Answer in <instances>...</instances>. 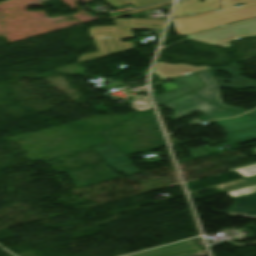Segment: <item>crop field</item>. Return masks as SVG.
I'll use <instances>...</instances> for the list:
<instances>
[{
  "label": "crop field",
  "instance_id": "5142ce71",
  "mask_svg": "<svg viewBox=\"0 0 256 256\" xmlns=\"http://www.w3.org/2000/svg\"><path fill=\"white\" fill-rule=\"evenodd\" d=\"M229 31H230V29H229L228 25H225V26H221V27H217V28L197 32V33H194V34H191V35H187V37L190 38V39H196V38H199V37H204V36H209V35H213V34L229 32Z\"/></svg>",
  "mask_w": 256,
  "mask_h": 256
},
{
  "label": "crop field",
  "instance_id": "28ad6ade",
  "mask_svg": "<svg viewBox=\"0 0 256 256\" xmlns=\"http://www.w3.org/2000/svg\"><path fill=\"white\" fill-rule=\"evenodd\" d=\"M226 132L256 126V118L243 115L235 119L214 121Z\"/></svg>",
  "mask_w": 256,
  "mask_h": 256
},
{
  "label": "crop field",
  "instance_id": "22f410ed",
  "mask_svg": "<svg viewBox=\"0 0 256 256\" xmlns=\"http://www.w3.org/2000/svg\"><path fill=\"white\" fill-rule=\"evenodd\" d=\"M227 134L229 137V143L256 139V127L233 131Z\"/></svg>",
  "mask_w": 256,
  "mask_h": 256
},
{
  "label": "crop field",
  "instance_id": "92a150f3",
  "mask_svg": "<svg viewBox=\"0 0 256 256\" xmlns=\"http://www.w3.org/2000/svg\"><path fill=\"white\" fill-rule=\"evenodd\" d=\"M189 152L191 153L193 158L208 154L203 148L195 149V150L190 149Z\"/></svg>",
  "mask_w": 256,
  "mask_h": 256
},
{
  "label": "crop field",
  "instance_id": "e52e79f7",
  "mask_svg": "<svg viewBox=\"0 0 256 256\" xmlns=\"http://www.w3.org/2000/svg\"><path fill=\"white\" fill-rule=\"evenodd\" d=\"M222 69L228 71L234 79L229 80V79H222L214 76L216 70ZM240 68L238 67L237 64L233 63L229 66L222 67V68H213V69H208V72L211 74L213 79L217 82L219 86L223 87H229V88H235V89H242V88H249V87H256V83L242 78L238 75ZM230 81V83L224 84L223 82Z\"/></svg>",
  "mask_w": 256,
  "mask_h": 256
},
{
  "label": "crop field",
  "instance_id": "f4fd0767",
  "mask_svg": "<svg viewBox=\"0 0 256 256\" xmlns=\"http://www.w3.org/2000/svg\"><path fill=\"white\" fill-rule=\"evenodd\" d=\"M208 68V66H199V67H194L186 64H168V63H162V62H157L154 67V73H156L162 81L194 73L197 71L205 70Z\"/></svg>",
  "mask_w": 256,
  "mask_h": 256
},
{
  "label": "crop field",
  "instance_id": "ac0d7876",
  "mask_svg": "<svg viewBox=\"0 0 256 256\" xmlns=\"http://www.w3.org/2000/svg\"><path fill=\"white\" fill-rule=\"evenodd\" d=\"M164 105L167 107L169 106L170 109L175 112V115L171 116L175 120L197 110L203 113L205 111V114L211 119L236 116L240 114L237 112L218 108L193 93L178 98Z\"/></svg>",
  "mask_w": 256,
  "mask_h": 256
},
{
  "label": "crop field",
  "instance_id": "34b2d1b8",
  "mask_svg": "<svg viewBox=\"0 0 256 256\" xmlns=\"http://www.w3.org/2000/svg\"><path fill=\"white\" fill-rule=\"evenodd\" d=\"M177 85L180 87L175 90L165 92L161 95L154 96V101L156 106L174 100L178 97L191 93L199 88L206 86V84L201 80V78L196 74H190L173 79ZM191 87V88H188Z\"/></svg>",
  "mask_w": 256,
  "mask_h": 256
},
{
  "label": "crop field",
  "instance_id": "733c2abd",
  "mask_svg": "<svg viewBox=\"0 0 256 256\" xmlns=\"http://www.w3.org/2000/svg\"><path fill=\"white\" fill-rule=\"evenodd\" d=\"M244 179H245L244 182L221 188V190L227 192V191H231V190H235V189H239V188H243V187H247V186L256 184V176H252V177H248V178H244Z\"/></svg>",
  "mask_w": 256,
  "mask_h": 256
},
{
  "label": "crop field",
  "instance_id": "cbeb9de0",
  "mask_svg": "<svg viewBox=\"0 0 256 256\" xmlns=\"http://www.w3.org/2000/svg\"><path fill=\"white\" fill-rule=\"evenodd\" d=\"M111 6L127 5L134 3L136 8L164 0H106Z\"/></svg>",
  "mask_w": 256,
  "mask_h": 256
},
{
  "label": "crop field",
  "instance_id": "00972430",
  "mask_svg": "<svg viewBox=\"0 0 256 256\" xmlns=\"http://www.w3.org/2000/svg\"><path fill=\"white\" fill-rule=\"evenodd\" d=\"M240 32H241L242 34H244L245 36L256 35V29L241 30Z\"/></svg>",
  "mask_w": 256,
  "mask_h": 256
},
{
  "label": "crop field",
  "instance_id": "d9b57169",
  "mask_svg": "<svg viewBox=\"0 0 256 256\" xmlns=\"http://www.w3.org/2000/svg\"><path fill=\"white\" fill-rule=\"evenodd\" d=\"M229 27L232 31L246 29V28H256V18L232 23V24H229Z\"/></svg>",
  "mask_w": 256,
  "mask_h": 256
},
{
  "label": "crop field",
  "instance_id": "4177f3b9",
  "mask_svg": "<svg viewBox=\"0 0 256 256\" xmlns=\"http://www.w3.org/2000/svg\"><path fill=\"white\" fill-rule=\"evenodd\" d=\"M196 40L201 41V42H204V41L202 40V38H200V39H196Z\"/></svg>",
  "mask_w": 256,
  "mask_h": 256
},
{
  "label": "crop field",
  "instance_id": "4a817a6b",
  "mask_svg": "<svg viewBox=\"0 0 256 256\" xmlns=\"http://www.w3.org/2000/svg\"><path fill=\"white\" fill-rule=\"evenodd\" d=\"M253 192H256V185L251 186V187H247V188H243V189H239V190H235V191H231V192H227V193L234 196V197H238V196L250 194V193H253Z\"/></svg>",
  "mask_w": 256,
  "mask_h": 256
},
{
  "label": "crop field",
  "instance_id": "d8731c3e",
  "mask_svg": "<svg viewBox=\"0 0 256 256\" xmlns=\"http://www.w3.org/2000/svg\"><path fill=\"white\" fill-rule=\"evenodd\" d=\"M197 74L202 78V80L208 85L202 89H199L195 91L199 95L203 96L204 98L210 100L211 102L215 103L216 105L224 108H230L233 110L245 112L247 110L232 107V106H226L221 103L220 97H219V86L216 84V82L212 79V77L209 75L207 70L197 72Z\"/></svg>",
  "mask_w": 256,
  "mask_h": 256
},
{
  "label": "crop field",
  "instance_id": "3316defc",
  "mask_svg": "<svg viewBox=\"0 0 256 256\" xmlns=\"http://www.w3.org/2000/svg\"><path fill=\"white\" fill-rule=\"evenodd\" d=\"M226 213L231 216L244 215L256 218V193L237 198L235 206Z\"/></svg>",
  "mask_w": 256,
  "mask_h": 256
},
{
  "label": "crop field",
  "instance_id": "bc2a9ffb",
  "mask_svg": "<svg viewBox=\"0 0 256 256\" xmlns=\"http://www.w3.org/2000/svg\"><path fill=\"white\" fill-rule=\"evenodd\" d=\"M236 171L244 177L256 175V164L248 167L236 169Z\"/></svg>",
  "mask_w": 256,
  "mask_h": 256
},
{
  "label": "crop field",
  "instance_id": "eef30255",
  "mask_svg": "<svg viewBox=\"0 0 256 256\" xmlns=\"http://www.w3.org/2000/svg\"><path fill=\"white\" fill-rule=\"evenodd\" d=\"M178 1H182V0H178ZM178 1H177V2H178Z\"/></svg>",
  "mask_w": 256,
  "mask_h": 256
},
{
  "label": "crop field",
  "instance_id": "8a807250",
  "mask_svg": "<svg viewBox=\"0 0 256 256\" xmlns=\"http://www.w3.org/2000/svg\"><path fill=\"white\" fill-rule=\"evenodd\" d=\"M256 16V3L230 6L218 11L206 12L173 18L178 35H187L197 31L229 24Z\"/></svg>",
  "mask_w": 256,
  "mask_h": 256
},
{
  "label": "crop field",
  "instance_id": "214f88e0",
  "mask_svg": "<svg viewBox=\"0 0 256 256\" xmlns=\"http://www.w3.org/2000/svg\"><path fill=\"white\" fill-rule=\"evenodd\" d=\"M250 2H256V0H223L221 7L230 6V5L239 4V3H250Z\"/></svg>",
  "mask_w": 256,
  "mask_h": 256
},
{
  "label": "crop field",
  "instance_id": "dafd665d",
  "mask_svg": "<svg viewBox=\"0 0 256 256\" xmlns=\"http://www.w3.org/2000/svg\"><path fill=\"white\" fill-rule=\"evenodd\" d=\"M173 2H174V1H172V2H167V3H163V4H159V5H155V6L148 7V8H144V9H140V10H137V11H134V12H138V11H142V10H146V9H150V8H154V7H158V6H162V5H166V4H171V3H173ZM134 12H130V13H134ZM130 13L121 14V15H117V16L110 17V18L112 19V18H116V17H119V16H123V15L130 14Z\"/></svg>",
  "mask_w": 256,
  "mask_h": 256
},
{
  "label": "crop field",
  "instance_id": "dd49c442",
  "mask_svg": "<svg viewBox=\"0 0 256 256\" xmlns=\"http://www.w3.org/2000/svg\"><path fill=\"white\" fill-rule=\"evenodd\" d=\"M220 5L221 0H205V2H199V0H187L176 4L173 15L178 17L205 11L217 10L220 9Z\"/></svg>",
  "mask_w": 256,
  "mask_h": 256
},
{
  "label": "crop field",
  "instance_id": "412701ff",
  "mask_svg": "<svg viewBox=\"0 0 256 256\" xmlns=\"http://www.w3.org/2000/svg\"><path fill=\"white\" fill-rule=\"evenodd\" d=\"M93 148L118 172L123 171L127 176L140 173V171L130 164L132 161L110 143L95 146Z\"/></svg>",
  "mask_w": 256,
  "mask_h": 256
},
{
  "label": "crop field",
  "instance_id": "a9b5d70f",
  "mask_svg": "<svg viewBox=\"0 0 256 256\" xmlns=\"http://www.w3.org/2000/svg\"><path fill=\"white\" fill-rule=\"evenodd\" d=\"M250 115H254V116H256V110L255 111H253V112H251V113H249Z\"/></svg>",
  "mask_w": 256,
  "mask_h": 256
},
{
  "label": "crop field",
  "instance_id": "d1516ede",
  "mask_svg": "<svg viewBox=\"0 0 256 256\" xmlns=\"http://www.w3.org/2000/svg\"><path fill=\"white\" fill-rule=\"evenodd\" d=\"M237 35H242L239 31L230 32V33H223L214 36L204 37V41L209 44H216L222 47H229L231 46L230 41L233 40L234 37Z\"/></svg>",
  "mask_w": 256,
  "mask_h": 256
},
{
  "label": "crop field",
  "instance_id": "730fd06b",
  "mask_svg": "<svg viewBox=\"0 0 256 256\" xmlns=\"http://www.w3.org/2000/svg\"><path fill=\"white\" fill-rule=\"evenodd\" d=\"M242 37H244L243 35L242 36H238L237 38H242ZM237 38H235V39H237Z\"/></svg>",
  "mask_w": 256,
  "mask_h": 256
},
{
  "label": "crop field",
  "instance_id": "5a996713",
  "mask_svg": "<svg viewBox=\"0 0 256 256\" xmlns=\"http://www.w3.org/2000/svg\"><path fill=\"white\" fill-rule=\"evenodd\" d=\"M194 249L198 250L195 252L200 251L196 247V245L193 243V241L190 240V241H186V242H182V243H178V244H174V245H170V246H166V247H162V248H158V249H154V250H150V251H146V252H142V253H138L130 256H157V255H164V254H170V253H176V252H182V251H188V250H194ZM195 252H189V253H183V254H177V255H171V256H186V255L193 254Z\"/></svg>",
  "mask_w": 256,
  "mask_h": 256
}]
</instances>
